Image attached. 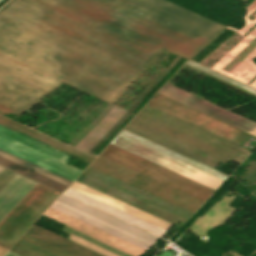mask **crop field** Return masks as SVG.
Segmentation results:
<instances>
[{
	"label": "crop field",
	"mask_w": 256,
	"mask_h": 256,
	"mask_svg": "<svg viewBox=\"0 0 256 256\" xmlns=\"http://www.w3.org/2000/svg\"><path fill=\"white\" fill-rule=\"evenodd\" d=\"M35 184L36 182L16 174L0 191V222Z\"/></svg>",
	"instance_id": "dd49c442"
},
{
	"label": "crop field",
	"mask_w": 256,
	"mask_h": 256,
	"mask_svg": "<svg viewBox=\"0 0 256 256\" xmlns=\"http://www.w3.org/2000/svg\"><path fill=\"white\" fill-rule=\"evenodd\" d=\"M7 250L0 247V256H2Z\"/></svg>",
	"instance_id": "d8731c3e"
},
{
	"label": "crop field",
	"mask_w": 256,
	"mask_h": 256,
	"mask_svg": "<svg viewBox=\"0 0 256 256\" xmlns=\"http://www.w3.org/2000/svg\"><path fill=\"white\" fill-rule=\"evenodd\" d=\"M121 135H123V136H125L127 138H130V139H132V140H134L136 142H139V143H141L143 145H146V146H148V147H150L152 149H155V150H157V151H159L161 153H164V154H166V155H168L170 157H173V158H175V159H177L179 161H182V162H184V163H186L188 165H191V166H193L195 168H198V169H200V170H202L204 172H207V173H209V174H211L213 176H216V177H218V178H220L222 180H224L227 177L226 175H224V174H222V173H220L218 171H215V170H213V169H211L209 167H206V166H204V165H202V164H200L198 162H195V161H193V160H191L189 158H186V157H184V156H182V155H180L178 153H175V152H173V151H171V150H169L167 148H164V147H162V146H160L158 144H155V143H153V142H151V141H149L147 139H144V138H142V137H140L138 135H135V134H133V133L127 131V130H123Z\"/></svg>",
	"instance_id": "e52e79f7"
},
{
	"label": "crop field",
	"mask_w": 256,
	"mask_h": 256,
	"mask_svg": "<svg viewBox=\"0 0 256 256\" xmlns=\"http://www.w3.org/2000/svg\"><path fill=\"white\" fill-rule=\"evenodd\" d=\"M204 45L226 27L166 0H105ZM103 0H11L0 9V112L63 82L111 104L166 48L204 45Z\"/></svg>",
	"instance_id": "8a807250"
},
{
	"label": "crop field",
	"mask_w": 256,
	"mask_h": 256,
	"mask_svg": "<svg viewBox=\"0 0 256 256\" xmlns=\"http://www.w3.org/2000/svg\"><path fill=\"white\" fill-rule=\"evenodd\" d=\"M57 201L154 243L158 237L62 195ZM55 201L51 208L147 250L152 243Z\"/></svg>",
	"instance_id": "412701ff"
},
{
	"label": "crop field",
	"mask_w": 256,
	"mask_h": 256,
	"mask_svg": "<svg viewBox=\"0 0 256 256\" xmlns=\"http://www.w3.org/2000/svg\"><path fill=\"white\" fill-rule=\"evenodd\" d=\"M5 256H18V255H15V254H13L11 252H8Z\"/></svg>",
	"instance_id": "5a996713"
},
{
	"label": "crop field",
	"mask_w": 256,
	"mask_h": 256,
	"mask_svg": "<svg viewBox=\"0 0 256 256\" xmlns=\"http://www.w3.org/2000/svg\"><path fill=\"white\" fill-rule=\"evenodd\" d=\"M3 170V168L0 167V172Z\"/></svg>",
	"instance_id": "3316defc"
},
{
	"label": "crop field",
	"mask_w": 256,
	"mask_h": 256,
	"mask_svg": "<svg viewBox=\"0 0 256 256\" xmlns=\"http://www.w3.org/2000/svg\"><path fill=\"white\" fill-rule=\"evenodd\" d=\"M3 0H0V3L2 2Z\"/></svg>",
	"instance_id": "28ad6ade"
},
{
	"label": "crop field",
	"mask_w": 256,
	"mask_h": 256,
	"mask_svg": "<svg viewBox=\"0 0 256 256\" xmlns=\"http://www.w3.org/2000/svg\"><path fill=\"white\" fill-rule=\"evenodd\" d=\"M64 193L162 236L171 223L75 181Z\"/></svg>",
	"instance_id": "34b2d1b8"
},
{
	"label": "crop field",
	"mask_w": 256,
	"mask_h": 256,
	"mask_svg": "<svg viewBox=\"0 0 256 256\" xmlns=\"http://www.w3.org/2000/svg\"><path fill=\"white\" fill-rule=\"evenodd\" d=\"M0 149L73 181L82 170L67 164L68 155L0 126Z\"/></svg>",
	"instance_id": "ac0d7876"
},
{
	"label": "crop field",
	"mask_w": 256,
	"mask_h": 256,
	"mask_svg": "<svg viewBox=\"0 0 256 256\" xmlns=\"http://www.w3.org/2000/svg\"><path fill=\"white\" fill-rule=\"evenodd\" d=\"M0 165L63 192L71 181L0 150Z\"/></svg>",
	"instance_id": "f4fd0767"
}]
</instances>
